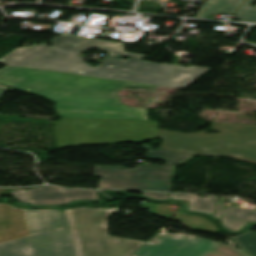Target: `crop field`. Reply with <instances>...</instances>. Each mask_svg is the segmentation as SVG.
Wrapping results in <instances>:
<instances>
[{"label": "crop field", "mask_w": 256, "mask_h": 256, "mask_svg": "<svg viewBox=\"0 0 256 256\" xmlns=\"http://www.w3.org/2000/svg\"><path fill=\"white\" fill-rule=\"evenodd\" d=\"M0 83L54 102L59 117L96 119L148 120L145 108L120 105L116 92L123 88H157L120 80L18 67L1 72Z\"/></svg>", "instance_id": "8a807250"}, {"label": "crop field", "mask_w": 256, "mask_h": 256, "mask_svg": "<svg viewBox=\"0 0 256 256\" xmlns=\"http://www.w3.org/2000/svg\"><path fill=\"white\" fill-rule=\"evenodd\" d=\"M54 47L65 51L81 54L90 47L106 51L109 55L96 68L56 49L32 62L26 67L52 70L56 72L113 78L137 83L162 85L184 89L205 72L208 68H189L153 64L141 61L144 55L124 52L123 43L89 39L62 34L51 40ZM122 56L129 57L122 61Z\"/></svg>", "instance_id": "ac0d7876"}, {"label": "crop field", "mask_w": 256, "mask_h": 256, "mask_svg": "<svg viewBox=\"0 0 256 256\" xmlns=\"http://www.w3.org/2000/svg\"><path fill=\"white\" fill-rule=\"evenodd\" d=\"M116 210H64L58 229L0 243V256H129L145 242L107 235L106 218Z\"/></svg>", "instance_id": "34b2d1b8"}, {"label": "crop field", "mask_w": 256, "mask_h": 256, "mask_svg": "<svg viewBox=\"0 0 256 256\" xmlns=\"http://www.w3.org/2000/svg\"><path fill=\"white\" fill-rule=\"evenodd\" d=\"M219 135L160 130V148L196 156H227L256 164V125L213 123Z\"/></svg>", "instance_id": "412701ff"}, {"label": "crop field", "mask_w": 256, "mask_h": 256, "mask_svg": "<svg viewBox=\"0 0 256 256\" xmlns=\"http://www.w3.org/2000/svg\"><path fill=\"white\" fill-rule=\"evenodd\" d=\"M55 125L60 148L146 142L158 138L155 121L61 118Z\"/></svg>", "instance_id": "f4fd0767"}, {"label": "crop field", "mask_w": 256, "mask_h": 256, "mask_svg": "<svg viewBox=\"0 0 256 256\" xmlns=\"http://www.w3.org/2000/svg\"><path fill=\"white\" fill-rule=\"evenodd\" d=\"M60 210H30L0 203V242L53 229Z\"/></svg>", "instance_id": "dd49c442"}, {"label": "crop field", "mask_w": 256, "mask_h": 256, "mask_svg": "<svg viewBox=\"0 0 256 256\" xmlns=\"http://www.w3.org/2000/svg\"><path fill=\"white\" fill-rule=\"evenodd\" d=\"M142 147L148 150L145 158L165 161V166L140 165L136 169H127L121 166H96L93 176L172 181L173 166L191 157V155L162 149L154 150L148 145Z\"/></svg>", "instance_id": "e52e79f7"}, {"label": "crop field", "mask_w": 256, "mask_h": 256, "mask_svg": "<svg viewBox=\"0 0 256 256\" xmlns=\"http://www.w3.org/2000/svg\"><path fill=\"white\" fill-rule=\"evenodd\" d=\"M171 199L181 200L184 203L186 200L190 201L191 203L187 204L189 211L210 214L233 232L240 231L248 224L256 222V210L215 205L217 196L202 198L197 195L171 194Z\"/></svg>", "instance_id": "d8731c3e"}, {"label": "crop field", "mask_w": 256, "mask_h": 256, "mask_svg": "<svg viewBox=\"0 0 256 256\" xmlns=\"http://www.w3.org/2000/svg\"><path fill=\"white\" fill-rule=\"evenodd\" d=\"M30 205L61 206L74 200L96 199V191L65 190L55 186L27 189Z\"/></svg>", "instance_id": "5a996713"}, {"label": "crop field", "mask_w": 256, "mask_h": 256, "mask_svg": "<svg viewBox=\"0 0 256 256\" xmlns=\"http://www.w3.org/2000/svg\"><path fill=\"white\" fill-rule=\"evenodd\" d=\"M172 182L136 179L101 178L98 189L156 190L170 192Z\"/></svg>", "instance_id": "3316defc"}, {"label": "crop field", "mask_w": 256, "mask_h": 256, "mask_svg": "<svg viewBox=\"0 0 256 256\" xmlns=\"http://www.w3.org/2000/svg\"><path fill=\"white\" fill-rule=\"evenodd\" d=\"M52 49L44 45H33L29 48L17 49L2 58L0 64L24 67Z\"/></svg>", "instance_id": "28ad6ade"}, {"label": "crop field", "mask_w": 256, "mask_h": 256, "mask_svg": "<svg viewBox=\"0 0 256 256\" xmlns=\"http://www.w3.org/2000/svg\"><path fill=\"white\" fill-rule=\"evenodd\" d=\"M187 241L164 238L158 245H142L132 256H173Z\"/></svg>", "instance_id": "d1516ede"}, {"label": "crop field", "mask_w": 256, "mask_h": 256, "mask_svg": "<svg viewBox=\"0 0 256 256\" xmlns=\"http://www.w3.org/2000/svg\"><path fill=\"white\" fill-rule=\"evenodd\" d=\"M243 0H205L196 17L208 18L210 14H235Z\"/></svg>", "instance_id": "22f410ed"}, {"label": "crop field", "mask_w": 256, "mask_h": 256, "mask_svg": "<svg viewBox=\"0 0 256 256\" xmlns=\"http://www.w3.org/2000/svg\"><path fill=\"white\" fill-rule=\"evenodd\" d=\"M217 242L197 237L189 240L174 256H205Z\"/></svg>", "instance_id": "cbeb9de0"}, {"label": "crop field", "mask_w": 256, "mask_h": 256, "mask_svg": "<svg viewBox=\"0 0 256 256\" xmlns=\"http://www.w3.org/2000/svg\"><path fill=\"white\" fill-rule=\"evenodd\" d=\"M233 240L241 247L244 253L256 256V232H251Z\"/></svg>", "instance_id": "5142ce71"}, {"label": "crop field", "mask_w": 256, "mask_h": 256, "mask_svg": "<svg viewBox=\"0 0 256 256\" xmlns=\"http://www.w3.org/2000/svg\"><path fill=\"white\" fill-rule=\"evenodd\" d=\"M255 0H245L235 17L240 21L256 23V8L251 7Z\"/></svg>", "instance_id": "d9b57169"}, {"label": "crop field", "mask_w": 256, "mask_h": 256, "mask_svg": "<svg viewBox=\"0 0 256 256\" xmlns=\"http://www.w3.org/2000/svg\"><path fill=\"white\" fill-rule=\"evenodd\" d=\"M206 256H244L218 243Z\"/></svg>", "instance_id": "733c2abd"}, {"label": "crop field", "mask_w": 256, "mask_h": 256, "mask_svg": "<svg viewBox=\"0 0 256 256\" xmlns=\"http://www.w3.org/2000/svg\"><path fill=\"white\" fill-rule=\"evenodd\" d=\"M142 195L153 200H168V194L164 193L143 192Z\"/></svg>", "instance_id": "4a817a6b"}, {"label": "crop field", "mask_w": 256, "mask_h": 256, "mask_svg": "<svg viewBox=\"0 0 256 256\" xmlns=\"http://www.w3.org/2000/svg\"><path fill=\"white\" fill-rule=\"evenodd\" d=\"M164 237L181 238V239H194L192 237H182V236L157 234L151 241L147 242L146 244H158Z\"/></svg>", "instance_id": "bc2a9ffb"}, {"label": "crop field", "mask_w": 256, "mask_h": 256, "mask_svg": "<svg viewBox=\"0 0 256 256\" xmlns=\"http://www.w3.org/2000/svg\"><path fill=\"white\" fill-rule=\"evenodd\" d=\"M11 192H12L13 198L17 201H25L28 199L25 190H16Z\"/></svg>", "instance_id": "214f88e0"}, {"label": "crop field", "mask_w": 256, "mask_h": 256, "mask_svg": "<svg viewBox=\"0 0 256 256\" xmlns=\"http://www.w3.org/2000/svg\"><path fill=\"white\" fill-rule=\"evenodd\" d=\"M5 88H3V87H0V99L2 98V96H3V94H4V92H5Z\"/></svg>", "instance_id": "92a150f3"}, {"label": "crop field", "mask_w": 256, "mask_h": 256, "mask_svg": "<svg viewBox=\"0 0 256 256\" xmlns=\"http://www.w3.org/2000/svg\"><path fill=\"white\" fill-rule=\"evenodd\" d=\"M8 68H10V66H6V67L0 69V72L3 71V70H5V69H8Z\"/></svg>", "instance_id": "dafd665d"}]
</instances>
